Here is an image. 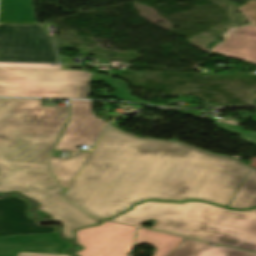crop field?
I'll return each instance as SVG.
<instances>
[{"label":"crop field","mask_w":256,"mask_h":256,"mask_svg":"<svg viewBox=\"0 0 256 256\" xmlns=\"http://www.w3.org/2000/svg\"><path fill=\"white\" fill-rule=\"evenodd\" d=\"M68 118V107L0 99V193L18 190L38 201L39 211L64 223V237L72 240L73 230L97 222L60 198L62 189L48 171L47 158Z\"/></svg>","instance_id":"ac0d7876"},{"label":"crop field","mask_w":256,"mask_h":256,"mask_svg":"<svg viewBox=\"0 0 256 256\" xmlns=\"http://www.w3.org/2000/svg\"><path fill=\"white\" fill-rule=\"evenodd\" d=\"M105 82L122 101L144 103L130 96L125 81L85 71L0 68V96L86 99L88 83Z\"/></svg>","instance_id":"412701ff"},{"label":"crop field","mask_w":256,"mask_h":256,"mask_svg":"<svg viewBox=\"0 0 256 256\" xmlns=\"http://www.w3.org/2000/svg\"><path fill=\"white\" fill-rule=\"evenodd\" d=\"M72 119L56 149L80 151L81 144L92 145L107 122L94 116L91 101H70Z\"/></svg>","instance_id":"e52e79f7"},{"label":"crop field","mask_w":256,"mask_h":256,"mask_svg":"<svg viewBox=\"0 0 256 256\" xmlns=\"http://www.w3.org/2000/svg\"><path fill=\"white\" fill-rule=\"evenodd\" d=\"M234 29L235 27H231L223 36L226 38Z\"/></svg>","instance_id":"92a150f3"},{"label":"crop field","mask_w":256,"mask_h":256,"mask_svg":"<svg viewBox=\"0 0 256 256\" xmlns=\"http://www.w3.org/2000/svg\"><path fill=\"white\" fill-rule=\"evenodd\" d=\"M18 256H68V255L34 254V253L19 252Z\"/></svg>","instance_id":"bc2a9ffb"},{"label":"crop field","mask_w":256,"mask_h":256,"mask_svg":"<svg viewBox=\"0 0 256 256\" xmlns=\"http://www.w3.org/2000/svg\"><path fill=\"white\" fill-rule=\"evenodd\" d=\"M0 67L62 69V65L0 63Z\"/></svg>","instance_id":"733c2abd"},{"label":"crop field","mask_w":256,"mask_h":256,"mask_svg":"<svg viewBox=\"0 0 256 256\" xmlns=\"http://www.w3.org/2000/svg\"><path fill=\"white\" fill-rule=\"evenodd\" d=\"M0 23L35 24L34 0H1Z\"/></svg>","instance_id":"d1516ede"},{"label":"crop field","mask_w":256,"mask_h":256,"mask_svg":"<svg viewBox=\"0 0 256 256\" xmlns=\"http://www.w3.org/2000/svg\"><path fill=\"white\" fill-rule=\"evenodd\" d=\"M89 153H81L69 159L51 157L50 166L56 180L62 184L65 190L76 176Z\"/></svg>","instance_id":"cbeb9de0"},{"label":"crop field","mask_w":256,"mask_h":256,"mask_svg":"<svg viewBox=\"0 0 256 256\" xmlns=\"http://www.w3.org/2000/svg\"><path fill=\"white\" fill-rule=\"evenodd\" d=\"M112 220L137 226L153 220L150 229L256 252V210L238 212L199 202H145Z\"/></svg>","instance_id":"34b2d1b8"},{"label":"crop field","mask_w":256,"mask_h":256,"mask_svg":"<svg viewBox=\"0 0 256 256\" xmlns=\"http://www.w3.org/2000/svg\"><path fill=\"white\" fill-rule=\"evenodd\" d=\"M214 53L256 64V26L250 25L237 30Z\"/></svg>","instance_id":"3316defc"},{"label":"crop field","mask_w":256,"mask_h":256,"mask_svg":"<svg viewBox=\"0 0 256 256\" xmlns=\"http://www.w3.org/2000/svg\"><path fill=\"white\" fill-rule=\"evenodd\" d=\"M216 124L243 135L244 140L246 141H251L256 143V132L247 133L242 131L243 128H239V127H235V126H231V125H227L219 122H216Z\"/></svg>","instance_id":"4a817a6b"},{"label":"crop field","mask_w":256,"mask_h":256,"mask_svg":"<svg viewBox=\"0 0 256 256\" xmlns=\"http://www.w3.org/2000/svg\"><path fill=\"white\" fill-rule=\"evenodd\" d=\"M252 167L177 141L139 138L109 125L66 191L92 216L114 217L149 199L228 207Z\"/></svg>","instance_id":"8a807250"},{"label":"crop field","mask_w":256,"mask_h":256,"mask_svg":"<svg viewBox=\"0 0 256 256\" xmlns=\"http://www.w3.org/2000/svg\"><path fill=\"white\" fill-rule=\"evenodd\" d=\"M75 241L85 247L80 256H126L131 251L134 227L105 221L101 226L77 231Z\"/></svg>","instance_id":"dd49c442"},{"label":"crop field","mask_w":256,"mask_h":256,"mask_svg":"<svg viewBox=\"0 0 256 256\" xmlns=\"http://www.w3.org/2000/svg\"><path fill=\"white\" fill-rule=\"evenodd\" d=\"M0 61L57 62L42 25L0 24Z\"/></svg>","instance_id":"f4fd0767"},{"label":"crop field","mask_w":256,"mask_h":256,"mask_svg":"<svg viewBox=\"0 0 256 256\" xmlns=\"http://www.w3.org/2000/svg\"><path fill=\"white\" fill-rule=\"evenodd\" d=\"M238 10L253 24H256V0H250Z\"/></svg>","instance_id":"d9b57169"},{"label":"crop field","mask_w":256,"mask_h":256,"mask_svg":"<svg viewBox=\"0 0 256 256\" xmlns=\"http://www.w3.org/2000/svg\"><path fill=\"white\" fill-rule=\"evenodd\" d=\"M184 238L138 228L135 246L148 243L156 247L153 256H169Z\"/></svg>","instance_id":"22f410ed"},{"label":"crop field","mask_w":256,"mask_h":256,"mask_svg":"<svg viewBox=\"0 0 256 256\" xmlns=\"http://www.w3.org/2000/svg\"><path fill=\"white\" fill-rule=\"evenodd\" d=\"M18 252H0V256H17Z\"/></svg>","instance_id":"214f88e0"},{"label":"crop field","mask_w":256,"mask_h":256,"mask_svg":"<svg viewBox=\"0 0 256 256\" xmlns=\"http://www.w3.org/2000/svg\"><path fill=\"white\" fill-rule=\"evenodd\" d=\"M207 244L185 238L170 256H256L255 253L247 251Z\"/></svg>","instance_id":"28ad6ade"},{"label":"crop field","mask_w":256,"mask_h":256,"mask_svg":"<svg viewBox=\"0 0 256 256\" xmlns=\"http://www.w3.org/2000/svg\"><path fill=\"white\" fill-rule=\"evenodd\" d=\"M30 203L17 196L0 199V236L58 232L56 226L43 227L28 215Z\"/></svg>","instance_id":"d8731c3e"},{"label":"crop field","mask_w":256,"mask_h":256,"mask_svg":"<svg viewBox=\"0 0 256 256\" xmlns=\"http://www.w3.org/2000/svg\"><path fill=\"white\" fill-rule=\"evenodd\" d=\"M256 206V170L252 168L241 188L229 205L230 208L245 209Z\"/></svg>","instance_id":"5142ce71"},{"label":"crop field","mask_w":256,"mask_h":256,"mask_svg":"<svg viewBox=\"0 0 256 256\" xmlns=\"http://www.w3.org/2000/svg\"><path fill=\"white\" fill-rule=\"evenodd\" d=\"M73 244L60 240L58 233L0 237V251L64 254Z\"/></svg>","instance_id":"5a996713"}]
</instances>
